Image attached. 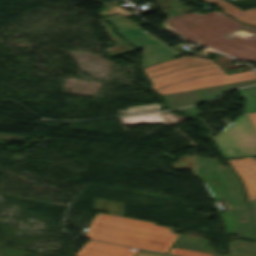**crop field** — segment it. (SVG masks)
<instances>
[{
  "mask_svg": "<svg viewBox=\"0 0 256 256\" xmlns=\"http://www.w3.org/2000/svg\"><path fill=\"white\" fill-rule=\"evenodd\" d=\"M208 62H212V63L198 65V66L170 72L181 67L208 63ZM159 65H162V66L158 67ZM142 70L150 79L152 83L151 88L153 90H155L158 87L169 85L187 78H193L201 75L222 72L220 67L217 66L212 60L199 58V57H188V56H183L180 58H176L173 60L156 64L153 66H149ZM166 72H170V73H166ZM163 73H166V74H163ZM159 74H163V75H159ZM156 75H159V76H156ZM152 76H156V77H152Z\"/></svg>",
  "mask_w": 256,
  "mask_h": 256,
  "instance_id": "obj_4",
  "label": "crop field"
},
{
  "mask_svg": "<svg viewBox=\"0 0 256 256\" xmlns=\"http://www.w3.org/2000/svg\"><path fill=\"white\" fill-rule=\"evenodd\" d=\"M160 108L157 106V104L153 105H145V106H135V107H129L126 110V113L118 114H133V113H142V112H150V111H158Z\"/></svg>",
  "mask_w": 256,
  "mask_h": 256,
  "instance_id": "obj_16",
  "label": "crop field"
},
{
  "mask_svg": "<svg viewBox=\"0 0 256 256\" xmlns=\"http://www.w3.org/2000/svg\"><path fill=\"white\" fill-rule=\"evenodd\" d=\"M85 237L166 253L178 235L155 223L99 213Z\"/></svg>",
  "mask_w": 256,
  "mask_h": 256,
  "instance_id": "obj_2",
  "label": "crop field"
},
{
  "mask_svg": "<svg viewBox=\"0 0 256 256\" xmlns=\"http://www.w3.org/2000/svg\"><path fill=\"white\" fill-rule=\"evenodd\" d=\"M177 55L180 54L164 43L144 48V59L141 67L168 60Z\"/></svg>",
  "mask_w": 256,
  "mask_h": 256,
  "instance_id": "obj_10",
  "label": "crop field"
},
{
  "mask_svg": "<svg viewBox=\"0 0 256 256\" xmlns=\"http://www.w3.org/2000/svg\"><path fill=\"white\" fill-rule=\"evenodd\" d=\"M161 116L173 121L172 123H170L172 125L180 123L189 118V117H185V116H181V115H177V114H173V113H161Z\"/></svg>",
  "mask_w": 256,
  "mask_h": 256,
  "instance_id": "obj_18",
  "label": "crop field"
},
{
  "mask_svg": "<svg viewBox=\"0 0 256 256\" xmlns=\"http://www.w3.org/2000/svg\"><path fill=\"white\" fill-rule=\"evenodd\" d=\"M105 31L107 32L108 36L115 42L114 47L104 49V51L110 56L113 57L115 55L123 54L126 52H130L133 50H137L135 47L130 45L129 43L125 42L118 36H116L111 29V26H109L107 23H105L103 20H100Z\"/></svg>",
  "mask_w": 256,
  "mask_h": 256,
  "instance_id": "obj_12",
  "label": "crop field"
},
{
  "mask_svg": "<svg viewBox=\"0 0 256 256\" xmlns=\"http://www.w3.org/2000/svg\"><path fill=\"white\" fill-rule=\"evenodd\" d=\"M168 24L190 41L235 57L256 60V39L249 42L223 36L239 26L254 31L256 28L241 24L218 10L203 15L196 11L184 13L175 16Z\"/></svg>",
  "mask_w": 256,
  "mask_h": 256,
  "instance_id": "obj_1",
  "label": "crop field"
},
{
  "mask_svg": "<svg viewBox=\"0 0 256 256\" xmlns=\"http://www.w3.org/2000/svg\"><path fill=\"white\" fill-rule=\"evenodd\" d=\"M238 178L241 180L247 200L256 199V159L253 157L227 160Z\"/></svg>",
  "mask_w": 256,
  "mask_h": 256,
  "instance_id": "obj_8",
  "label": "crop field"
},
{
  "mask_svg": "<svg viewBox=\"0 0 256 256\" xmlns=\"http://www.w3.org/2000/svg\"><path fill=\"white\" fill-rule=\"evenodd\" d=\"M181 111L185 112L186 115H190V116L201 115V113L195 108V106L189 107V108H185V109H181Z\"/></svg>",
  "mask_w": 256,
  "mask_h": 256,
  "instance_id": "obj_19",
  "label": "crop field"
},
{
  "mask_svg": "<svg viewBox=\"0 0 256 256\" xmlns=\"http://www.w3.org/2000/svg\"><path fill=\"white\" fill-rule=\"evenodd\" d=\"M248 204H249V208H250L251 215H252L254 225H255V229H256V200L252 201V202H249Z\"/></svg>",
  "mask_w": 256,
  "mask_h": 256,
  "instance_id": "obj_20",
  "label": "crop field"
},
{
  "mask_svg": "<svg viewBox=\"0 0 256 256\" xmlns=\"http://www.w3.org/2000/svg\"><path fill=\"white\" fill-rule=\"evenodd\" d=\"M206 1L210 3L219 4L221 9L224 12L228 13L229 15L235 17L236 19L242 22L256 25V8L248 9L242 12L239 9H237L235 6L227 3L224 0H206Z\"/></svg>",
  "mask_w": 256,
  "mask_h": 256,
  "instance_id": "obj_11",
  "label": "crop field"
},
{
  "mask_svg": "<svg viewBox=\"0 0 256 256\" xmlns=\"http://www.w3.org/2000/svg\"><path fill=\"white\" fill-rule=\"evenodd\" d=\"M154 123H164L162 119H160L157 113L150 114Z\"/></svg>",
  "mask_w": 256,
  "mask_h": 256,
  "instance_id": "obj_21",
  "label": "crop field"
},
{
  "mask_svg": "<svg viewBox=\"0 0 256 256\" xmlns=\"http://www.w3.org/2000/svg\"><path fill=\"white\" fill-rule=\"evenodd\" d=\"M148 115H137V116H129L119 118L123 126L127 125H135V124H143L146 123V119H148Z\"/></svg>",
  "mask_w": 256,
  "mask_h": 256,
  "instance_id": "obj_15",
  "label": "crop field"
},
{
  "mask_svg": "<svg viewBox=\"0 0 256 256\" xmlns=\"http://www.w3.org/2000/svg\"><path fill=\"white\" fill-rule=\"evenodd\" d=\"M254 83H256V80L203 88V89L170 94V95H164L163 97L166 100L167 107L169 109H173V108H178V107L186 106L189 104L209 100L211 98H214L222 94L223 91L232 90L240 86L254 84Z\"/></svg>",
  "mask_w": 256,
  "mask_h": 256,
  "instance_id": "obj_6",
  "label": "crop field"
},
{
  "mask_svg": "<svg viewBox=\"0 0 256 256\" xmlns=\"http://www.w3.org/2000/svg\"><path fill=\"white\" fill-rule=\"evenodd\" d=\"M136 256H163V255H159V254H154V253H149V252H144V251H141L138 255ZM168 256V255H166Z\"/></svg>",
  "mask_w": 256,
  "mask_h": 256,
  "instance_id": "obj_22",
  "label": "crop field"
},
{
  "mask_svg": "<svg viewBox=\"0 0 256 256\" xmlns=\"http://www.w3.org/2000/svg\"><path fill=\"white\" fill-rule=\"evenodd\" d=\"M250 79H256V75L252 71L233 74L229 76H226L224 73H218V74H212V75L193 78L191 80L173 84L155 91L158 94L163 95V94L193 90V89H198L203 87H209L214 85H220V84H226V83H232V82H238V81H244V80H250Z\"/></svg>",
  "mask_w": 256,
  "mask_h": 256,
  "instance_id": "obj_5",
  "label": "crop field"
},
{
  "mask_svg": "<svg viewBox=\"0 0 256 256\" xmlns=\"http://www.w3.org/2000/svg\"><path fill=\"white\" fill-rule=\"evenodd\" d=\"M238 92L245 98L244 111L218 134L209 136L225 158L256 154V86Z\"/></svg>",
  "mask_w": 256,
  "mask_h": 256,
  "instance_id": "obj_3",
  "label": "crop field"
},
{
  "mask_svg": "<svg viewBox=\"0 0 256 256\" xmlns=\"http://www.w3.org/2000/svg\"><path fill=\"white\" fill-rule=\"evenodd\" d=\"M105 19L114 24L118 34L128 39L131 43L141 49L162 43L140 26L119 14L105 17Z\"/></svg>",
  "mask_w": 256,
  "mask_h": 256,
  "instance_id": "obj_7",
  "label": "crop field"
},
{
  "mask_svg": "<svg viewBox=\"0 0 256 256\" xmlns=\"http://www.w3.org/2000/svg\"><path fill=\"white\" fill-rule=\"evenodd\" d=\"M169 253L175 254V255H181V256H212L211 254L195 252V251H190V250H185V249H180L175 247H172Z\"/></svg>",
  "mask_w": 256,
  "mask_h": 256,
  "instance_id": "obj_17",
  "label": "crop field"
},
{
  "mask_svg": "<svg viewBox=\"0 0 256 256\" xmlns=\"http://www.w3.org/2000/svg\"><path fill=\"white\" fill-rule=\"evenodd\" d=\"M232 255L256 256V243L245 241H231L228 243Z\"/></svg>",
  "mask_w": 256,
  "mask_h": 256,
  "instance_id": "obj_13",
  "label": "crop field"
},
{
  "mask_svg": "<svg viewBox=\"0 0 256 256\" xmlns=\"http://www.w3.org/2000/svg\"><path fill=\"white\" fill-rule=\"evenodd\" d=\"M175 245L214 253V249L209 248L207 241L204 239L181 235Z\"/></svg>",
  "mask_w": 256,
  "mask_h": 256,
  "instance_id": "obj_14",
  "label": "crop field"
},
{
  "mask_svg": "<svg viewBox=\"0 0 256 256\" xmlns=\"http://www.w3.org/2000/svg\"><path fill=\"white\" fill-rule=\"evenodd\" d=\"M89 240L75 256H133L139 250Z\"/></svg>",
  "mask_w": 256,
  "mask_h": 256,
  "instance_id": "obj_9",
  "label": "crop field"
}]
</instances>
